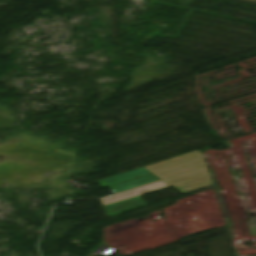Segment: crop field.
Listing matches in <instances>:
<instances>
[{
  "instance_id": "1",
  "label": "crop field",
  "mask_w": 256,
  "mask_h": 256,
  "mask_svg": "<svg viewBox=\"0 0 256 256\" xmlns=\"http://www.w3.org/2000/svg\"><path fill=\"white\" fill-rule=\"evenodd\" d=\"M145 167L183 194L211 185L199 150Z\"/></svg>"
},
{
  "instance_id": "2",
  "label": "crop field",
  "mask_w": 256,
  "mask_h": 256,
  "mask_svg": "<svg viewBox=\"0 0 256 256\" xmlns=\"http://www.w3.org/2000/svg\"><path fill=\"white\" fill-rule=\"evenodd\" d=\"M158 180L161 179L143 167L138 170L98 181V184L101 188L109 186L114 194H116Z\"/></svg>"
},
{
  "instance_id": "3",
  "label": "crop field",
  "mask_w": 256,
  "mask_h": 256,
  "mask_svg": "<svg viewBox=\"0 0 256 256\" xmlns=\"http://www.w3.org/2000/svg\"><path fill=\"white\" fill-rule=\"evenodd\" d=\"M148 205L146 202H144L139 197L135 196L129 199H125L119 202H115L109 205H105V209L107 211V214L109 216L121 214L142 206Z\"/></svg>"
},
{
  "instance_id": "4",
  "label": "crop field",
  "mask_w": 256,
  "mask_h": 256,
  "mask_svg": "<svg viewBox=\"0 0 256 256\" xmlns=\"http://www.w3.org/2000/svg\"><path fill=\"white\" fill-rule=\"evenodd\" d=\"M165 187H169V185H167L165 182L161 181V182H158V183H155V184H152V185H148V186H145V187H142V188H139V189H135V190H132V191H129V192H125V193H122V194H119V195H116V196H113V197L103 199L102 201H103V204L105 205V204H109V203H112V202H115V201H119V200H122V199H125V198H128V197H132V196H135V195H138V194L150 192V191L165 188Z\"/></svg>"
}]
</instances>
